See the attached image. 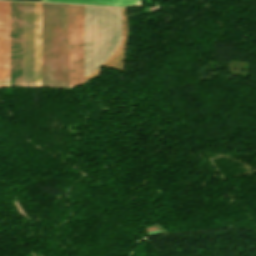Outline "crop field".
I'll return each mask as SVG.
<instances>
[{
	"label": "crop field",
	"instance_id": "1",
	"mask_svg": "<svg viewBox=\"0 0 256 256\" xmlns=\"http://www.w3.org/2000/svg\"><path fill=\"white\" fill-rule=\"evenodd\" d=\"M121 8L85 5L84 76L120 43Z\"/></svg>",
	"mask_w": 256,
	"mask_h": 256
},
{
	"label": "crop field",
	"instance_id": "2",
	"mask_svg": "<svg viewBox=\"0 0 256 256\" xmlns=\"http://www.w3.org/2000/svg\"><path fill=\"white\" fill-rule=\"evenodd\" d=\"M84 5L70 4L69 87L83 82Z\"/></svg>",
	"mask_w": 256,
	"mask_h": 256
},
{
	"label": "crop field",
	"instance_id": "3",
	"mask_svg": "<svg viewBox=\"0 0 256 256\" xmlns=\"http://www.w3.org/2000/svg\"><path fill=\"white\" fill-rule=\"evenodd\" d=\"M34 3L23 2L22 87H33Z\"/></svg>",
	"mask_w": 256,
	"mask_h": 256
},
{
	"label": "crop field",
	"instance_id": "4",
	"mask_svg": "<svg viewBox=\"0 0 256 256\" xmlns=\"http://www.w3.org/2000/svg\"><path fill=\"white\" fill-rule=\"evenodd\" d=\"M10 2L0 1V87H9Z\"/></svg>",
	"mask_w": 256,
	"mask_h": 256
},
{
	"label": "crop field",
	"instance_id": "5",
	"mask_svg": "<svg viewBox=\"0 0 256 256\" xmlns=\"http://www.w3.org/2000/svg\"><path fill=\"white\" fill-rule=\"evenodd\" d=\"M41 3H35L34 87H40Z\"/></svg>",
	"mask_w": 256,
	"mask_h": 256
},
{
	"label": "crop field",
	"instance_id": "6",
	"mask_svg": "<svg viewBox=\"0 0 256 256\" xmlns=\"http://www.w3.org/2000/svg\"><path fill=\"white\" fill-rule=\"evenodd\" d=\"M42 1L118 5V6H142L141 0H42Z\"/></svg>",
	"mask_w": 256,
	"mask_h": 256
}]
</instances>
